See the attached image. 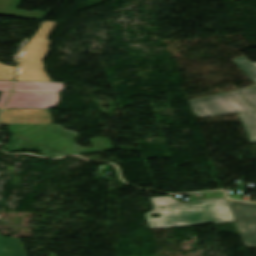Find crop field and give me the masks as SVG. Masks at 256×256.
Masks as SVG:
<instances>
[{"label": "crop field", "instance_id": "obj_1", "mask_svg": "<svg viewBox=\"0 0 256 256\" xmlns=\"http://www.w3.org/2000/svg\"><path fill=\"white\" fill-rule=\"evenodd\" d=\"M0 122L16 123L7 128L13 135L66 154L91 153L112 148L109 140L100 137L90 139L94 145L92 149L77 146L75 139L78 134L53 125L48 110L5 109Z\"/></svg>", "mask_w": 256, "mask_h": 256}, {"label": "crop field", "instance_id": "obj_2", "mask_svg": "<svg viewBox=\"0 0 256 256\" xmlns=\"http://www.w3.org/2000/svg\"><path fill=\"white\" fill-rule=\"evenodd\" d=\"M153 210L144 214L150 229L235 221L225 198L180 203L170 196L150 198ZM152 214H158L152 218Z\"/></svg>", "mask_w": 256, "mask_h": 256}, {"label": "crop field", "instance_id": "obj_3", "mask_svg": "<svg viewBox=\"0 0 256 256\" xmlns=\"http://www.w3.org/2000/svg\"><path fill=\"white\" fill-rule=\"evenodd\" d=\"M233 62L256 83V67L244 56ZM194 115L211 117L237 113L251 143H256V87L188 101Z\"/></svg>", "mask_w": 256, "mask_h": 256}, {"label": "crop field", "instance_id": "obj_4", "mask_svg": "<svg viewBox=\"0 0 256 256\" xmlns=\"http://www.w3.org/2000/svg\"><path fill=\"white\" fill-rule=\"evenodd\" d=\"M56 22H44L24 49L17 80L51 82L42 63L50 44L46 38Z\"/></svg>", "mask_w": 256, "mask_h": 256}, {"label": "crop field", "instance_id": "obj_5", "mask_svg": "<svg viewBox=\"0 0 256 256\" xmlns=\"http://www.w3.org/2000/svg\"><path fill=\"white\" fill-rule=\"evenodd\" d=\"M228 203L245 245L256 246V204Z\"/></svg>", "mask_w": 256, "mask_h": 256}, {"label": "crop field", "instance_id": "obj_6", "mask_svg": "<svg viewBox=\"0 0 256 256\" xmlns=\"http://www.w3.org/2000/svg\"><path fill=\"white\" fill-rule=\"evenodd\" d=\"M58 94L14 92L6 108L54 109Z\"/></svg>", "mask_w": 256, "mask_h": 256}, {"label": "crop field", "instance_id": "obj_7", "mask_svg": "<svg viewBox=\"0 0 256 256\" xmlns=\"http://www.w3.org/2000/svg\"><path fill=\"white\" fill-rule=\"evenodd\" d=\"M22 0H0V15L41 20L47 13L17 10Z\"/></svg>", "mask_w": 256, "mask_h": 256}, {"label": "crop field", "instance_id": "obj_8", "mask_svg": "<svg viewBox=\"0 0 256 256\" xmlns=\"http://www.w3.org/2000/svg\"><path fill=\"white\" fill-rule=\"evenodd\" d=\"M63 89H64V83L15 81V85H14V91H22V92L59 93L63 91Z\"/></svg>", "mask_w": 256, "mask_h": 256}, {"label": "crop field", "instance_id": "obj_9", "mask_svg": "<svg viewBox=\"0 0 256 256\" xmlns=\"http://www.w3.org/2000/svg\"><path fill=\"white\" fill-rule=\"evenodd\" d=\"M36 147H38V148L35 150L39 151L42 149L40 154H42L43 152H46L42 155L47 158H56V157L65 156L64 154H61L59 152H56L54 150H51V149L41 146L39 144L32 143V142H29V141H26V140H23V139L14 137V136L11 137V147L8 149V151H17L21 148L32 150Z\"/></svg>", "mask_w": 256, "mask_h": 256}, {"label": "crop field", "instance_id": "obj_10", "mask_svg": "<svg viewBox=\"0 0 256 256\" xmlns=\"http://www.w3.org/2000/svg\"><path fill=\"white\" fill-rule=\"evenodd\" d=\"M10 251L6 252L5 249ZM0 256H26L19 239L0 237Z\"/></svg>", "mask_w": 256, "mask_h": 256}, {"label": "crop field", "instance_id": "obj_11", "mask_svg": "<svg viewBox=\"0 0 256 256\" xmlns=\"http://www.w3.org/2000/svg\"><path fill=\"white\" fill-rule=\"evenodd\" d=\"M14 68L0 63V80H12Z\"/></svg>", "mask_w": 256, "mask_h": 256}, {"label": "crop field", "instance_id": "obj_12", "mask_svg": "<svg viewBox=\"0 0 256 256\" xmlns=\"http://www.w3.org/2000/svg\"><path fill=\"white\" fill-rule=\"evenodd\" d=\"M12 82H1L0 81V91H11Z\"/></svg>", "mask_w": 256, "mask_h": 256}, {"label": "crop field", "instance_id": "obj_13", "mask_svg": "<svg viewBox=\"0 0 256 256\" xmlns=\"http://www.w3.org/2000/svg\"><path fill=\"white\" fill-rule=\"evenodd\" d=\"M10 92H2L1 93V96H0V108L3 107L8 95H9Z\"/></svg>", "mask_w": 256, "mask_h": 256}, {"label": "crop field", "instance_id": "obj_14", "mask_svg": "<svg viewBox=\"0 0 256 256\" xmlns=\"http://www.w3.org/2000/svg\"><path fill=\"white\" fill-rule=\"evenodd\" d=\"M27 40H28V39H27ZM27 40H25V41L23 42V44H22V46H21V48H20V50H19V52H18V54H17V56H16V59H17V60H18V57H19V55H20V53H21V51H22V49H23L25 43L27 42Z\"/></svg>", "mask_w": 256, "mask_h": 256}, {"label": "crop field", "instance_id": "obj_15", "mask_svg": "<svg viewBox=\"0 0 256 256\" xmlns=\"http://www.w3.org/2000/svg\"><path fill=\"white\" fill-rule=\"evenodd\" d=\"M255 66H256V62L255 63H253Z\"/></svg>", "mask_w": 256, "mask_h": 256}, {"label": "crop field", "instance_id": "obj_16", "mask_svg": "<svg viewBox=\"0 0 256 256\" xmlns=\"http://www.w3.org/2000/svg\"><path fill=\"white\" fill-rule=\"evenodd\" d=\"M1 111V110H0Z\"/></svg>", "mask_w": 256, "mask_h": 256}]
</instances>
